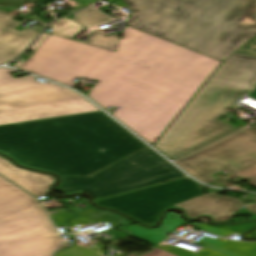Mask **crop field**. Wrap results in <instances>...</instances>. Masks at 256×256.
<instances>
[{
    "instance_id": "12",
    "label": "crop field",
    "mask_w": 256,
    "mask_h": 256,
    "mask_svg": "<svg viewBox=\"0 0 256 256\" xmlns=\"http://www.w3.org/2000/svg\"><path fill=\"white\" fill-rule=\"evenodd\" d=\"M196 245L204 247L197 254L169 245L166 247L177 252H170L177 256H256V243L228 241L222 238L218 240L203 238Z\"/></svg>"
},
{
    "instance_id": "3",
    "label": "crop field",
    "mask_w": 256,
    "mask_h": 256,
    "mask_svg": "<svg viewBox=\"0 0 256 256\" xmlns=\"http://www.w3.org/2000/svg\"><path fill=\"white\" fill-rule=\"evenodd\" d=\"M128 26L225 61L256 35V0H123Z\"/></svg>"
},
{
    "instance_id": "23",
    "label": "crop field",
    "mask_w": 256,
    "mask_h": 256,
    "mask_svg": "<svg viewBox=\"0 0 256 256\" xmlns=\"http://www.w3.org/2000/svg\"><path fill=\"white\" fill-rule=\"evenodd\" d=\"M247 184H249V185H251V186L256 187V178H254V179H252V180L247 181Z\"/></svg>"
},
{
    "instance_id": "9",
    "label": "crop field",
    "mask_w": 256,
    "mask_h": 256,
    "mask_svg": "<svg viewBox=\"0 0 256 256\" xmlns=\"http://www.w3.org/2000/svg\"><path fill=\"white\" fill-rule=\"evenodd\" d=\"M203 194L188 177L96 201L148 225L154 224L166 207Z\"/></svg>"
},
{
    "instance_id": "21",
    "label": "crop field",
    "mask_w": 256,
    "mask_h": 256,
    "mask_svg": "<svg viewBox=\"0 0 256 256\" xmlns=\"http://www.w3.org/2000/svg\"><path fill=\"white\" fill-rule=\"evenodd\" d=\"M49 34L42 32V34L39 36V38L35 41V43L30 47L29 50L31 51H35L38 46L45 40V38L48 36Z\"/></svg>"
},
{
    "instance_id": "26",
    "label": "crop field",
    "mask_w": 256,
    "mask_h": 256,
    "mask_svg": "<svg viewBox=\"0 0 256 256\" xmlns=\"http://www.w3.org/2000/svg\"><path fill=\"white\" fill-rule=\"evenodd\" d=\"M105 1L109 3V2L114 1V0H105Z\"/></svg>"
},
{
    "instance_id": "16",
    "label": "crop field",
    "mask_w": 256,
    "mask_h": 256,
    "mask_svg": "<svg viewBox=\"0 0 256 256\" xmlns=\"http://www.w3.org/2000/svg\"><path fill=\"white\" fill-rule=\"evenodd\" d=\"M256 226V223H241L237 226H231V225H223L218 224L217 226H211V225H200L198 229H201L202 231L210 232L215 235L223 236L227 234H231L233 232L243 234V231H247L253 227Z\"/></svg>"
},
{
    "instance_id": "1",
    "label": "crop field",
    "mask_w": 256,
    "mask_h": 256,
    "mask_svg": "<svg viewBox=\"0 0 256 256\" xmlns=\"http://www.w3.org/2000/svg\"><path fill=\"white\" fill-rule=\"evenodd\" d=\"M116 52L49 35L20 69L74 87L152 144L221 62L126 26ZM158 139V138H157Z\"/></svg>"
},
{
    "instance_id": "24",
    "label": "crop field",
    "mask_w": 256,
    "mask_h": 256,
    "mask_svg": "<svg viewBox=\"0 0 256 256\" xmlns=\"http://www.w3.org/2000/svg\"><path fill=\"white\" fill-rule=\"evenodd\" d=\"M253 236H256V230H255V231H253V233H252V234H250L248 237H253Z\"/></svg>"
},
{
    "instance_id": "14",
    "label": "crop field",
    "mask_w": 256,
    "mask_h": 256,
    "mask_svg": "<svg viewBox=\"0 0 256 256\" xmlns=\"http://www.w3.org/2000/svg\"><path fill=\"white\" fill-rule=\"evenodd\" d=\"M185 222L180 216L175 214H167L164 224L159 229L147 230L139 225L129 226L125 228H119L118 230L131 235L137 239L150 244H157L167 236L165 234H172L176 228L183 226Z\"/></svg>"
},
{
    "instance_id": "19",
    "label": "crop field",
    "mask_w": 256,
    "mask_h": 256,
    "mask_svg": "<svg viewBox=\"0 0 256 256\" xmlns=\"http://www.w3.org/2000/svg\"><path fill=\"white\" fill-rule=\"evenodd\" d=\"M91 249H93L95 252L102 254V252L105 250V246H103L101 243H96V244H92V245H88ZM144 256H175L173 254H170L168 252H165L157 247H155L154 251L144 255Z\"/></svg>"
},
{
    "instance_id": "11",
    "label": "crop field",
    "mask_w": 256,
    "mask_h": 256,
    "mask_svg": "<svg viewBox=\"0 0 256 256\" xmlns=\"http://www.w3.org/2000/svg\"><path fill=\"white\" fill-rule=\"evenodd\" d=\"M21 23L0 13V64L18 57L39 33L28 29L21 32L13 29Z\"/></svg>"
},
{
    "instance_id": "27",
    "label": "crop field",
    "mask_w": 256,
    "mask_h": 256,
    "mask_svg": "<svg viewBox=\"0 0 256 256\" xmlns=\"http://www.w3.org/2000/svg\"><path fill=\"white\" fill-rule=\"evenodd\" d=\"M255 241H256V238H255Z\"/></svg>"
},
{
    "instance_id": "22",
    "label": "crop field",
    "mask_w": 256,
    "mask_h": 256,
    "mask_svg": "<svg viewBox=\"0 0 256 256\" xmlns=\"http://www.w3.org/2000/svg\"><path fill=\"white\" fill-rule=\"evenodd\" d=\"M74 1H76L79 4V6L75 7L73 10L69 11L70 13H72V12H74V11H76V10L96 1V0H74Z\"/></svg>"
},
{
    "instance_id": "10",
    "label": "crop field",
    "mask_w": 256,
    "mask_h": 256,
    "mask_svg": "<svg viewBox=\"0 0 256 256\" xmlns=\"http://www.w3.org/2000/svg\"><path fill=\"white\" fill-rule=\"evenodd\" d=\"M173 206L184 209L190 219L205 214L214 221H227L242 206H245L249 213L256 214V204H243L237 198L218 196L215 193L203 194Z\"/></svg>"
},
{
    "instance_id": "6",
    "label": "crop field",
    "mask_w": 256,
    "mask_h": 256,
    "mask_svg": "<svg viewBox=\"0 0 256 256\" xmlns=\"http://www.w3.org/2000/svg\"><path fill=\"white\" fill-rule=\"evenodd\" d=\"M11 72L0 68V125L98 110L69 89Z\"/></svg>"
},
{
    "instance_id": "7",
    "label": "crop field",
    "mask_w": 256,
    "mask_h": 256,
    "mask_svg": "<svg viewBox=\"0 0 256 256\" xmlns=\"http://www.w3.org/2000/svg\"><path fill=\"white\" fill-rule=\"evenodd\" d=\"M184 176L149 147L88 177L62 178L57 191H86L101 198Z\"/></svg>"
},
{
    "instance_id": "4",
    "label": "crop field",
    "mask_w": 256,
    "mask_h": 256,
    "mask_svg": "<svg viewBox=\"0 0 256 256\" xmlns=\"http://www.w3.org/2000/svg\"><path fill=\"white\" fill-rule=\"evenodd\" d=\"M256 58L234 53L215 71L153 145L171 160L235 130L218 117L253 88Z\"/></svg>"
},
{
    "instance_id": "17",
    "label": "crop field",
    "mask_w": 256,
    "mask_h": 256,
    "mask_svg": "<svg viewBox=\"0 0 256 256\" xmlns=\"http://www.w3.org/2000/svg\"><path fill=\"white\" fill-rule=\"evenodd\" d=\"M73 21V20H72ZM71 20L64 18L53 24H51L52 31L50 34L61 36L70 39L84 27L72 22Z\"/></svg>"
},
{
    "instance_id": "2",
    "label": "crop field",
    "mask_w": 256,
    "mask_h": 256,
    "mask_svg": "<svg viewBox=\"0 0 256 256\" xmlns=\"http://www.w3.org/2000/svg\"><path fill=\"white\" fill-rule=\"evenodd\" d=\"M144 147L101 111L0 126V151L60 176H88Z\"/></svg>"
},
{
    "instance_id": "20",
    "label": "crop field",
    "mask_w": 256,
    "mask_h": 256,
    "mask_svg": "<svg viewBox=\"0 0 256 256\" xmlns=\"http://www.w3.org/2000/svg\"><path fill=\"white\" fill-rule=\"evenodd\" d=\"M236 52L256 57V36L253 37Z\"/></svg>"
},
{
    "instance_id": "5",
    "label": "crop field",
    "mask_w": 256,
    "mask_h": 256,
    "mask_svg": "<svg viewBox=\"0 0 256 256\" xmlns=\"http://www.w3.org/2000/svg\"><path fill=\"white\" fill-rule=\"evenodd\" d=\"M60 245L41 204L0 177V256H51Z\"/></svg>"
},
{
    "instance_id": "8",
    "label": "crop field",
    "mask_w": 256,
    "mask_h": 256,
    "mask_svg": "<svg viewBox=\"0 0 256 256\" xmlns=\"http://www.w3.org/2000/svg\"><path fill=\"white\" fill-rule=\"evenodd\" d=\"M248 96L256 99V88ZM176 164L205 183L215 181L210 175L223 169L246 180L252 179L256 177V129L246 127Z\"/></svg>"
},
{
    "instance_id": "18",
    "label": "crop field",
    "mask_w": 256,
    "mask_h": 256,
    "mask_svg": "<svg viewBox=\"0 0 256 256\" xmlns=\"http://www.w3.org/2000/svg\"><path fill=\"white\" fill-rule=\"evenodd\" d=\"M90 37L84 41V43L91 44V45H100L108 48H114L115 44L119 42L118 38L107 35H102L99 31H92Z\"/></svg>"
},
{
    "instance_id": "15",
    "label": "crop field",
    "mask_w": 256,
    "mask_h": 256,
    "mask_svg": "<svg viewBox=\"0 0 256 256\" xmlns=\"http://www.w3.org/2000/svg\"><path fill=\"white\" fill-rule=\"evenodd\" d=\"M74 16L75 17H73L72 20L84 27L101 25L111 20V18L103 15L91 7L78 14H75Z\"/></svg>"
},
{
    "instance_id": "13",
    "label": "crop field",
    "mask_w": 256,
    "mask_h": 256,
    "mask_svg": "<svg viewBox=\"0 0 256 256\" xmlns=\"http://www.w3.org/2000/svg\"><path fill=\"white\" fill-rule=\"evenodd\" d=\"M0 174L37 197L46 195L55 182L52 176L18 168L2 156H0Z\"/></svg>"
},
{
    "instance_id": "25",
    "label": "crop field",
    "mask_w": 256,
    "mask_h": 256,
    "mask_svg": "<svg viewBox=\"0 0 256 256\" xmlns=\"http://www.w3.org/2000/svg\"><path fill=\"white\" fill-rule=\"evenodd\" d=\"M42 28H43V27H41V26L37 25V27H36V29H35V30L40 31Z\"/></svg>"
}]
</instances>
